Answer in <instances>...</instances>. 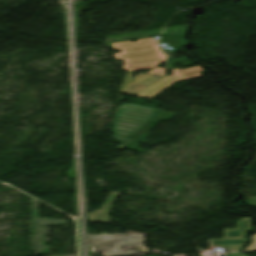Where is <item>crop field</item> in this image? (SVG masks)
<instances>
[{"label":"crop field","mask_w":256,"mask_h":256,"mask_svg":"<svg viewBox=\"0 0 256 256\" xmlns=\"http://www.w3.org/2000/svg\"><path fill=\"white\" fill-rule=\"evenodd\" d=\"M112 46L114 50L122 51L114 56L116 60H124L123 70L154 68L166 59V55L159 50L157 42L152 38L114 43Z\"/></svg>","instance_id":"obj_3"},{"label":"crop field","mask_w":256,"mask_h":256,"mask_svg":"<svg viewBox=\"0 0 256 256\" xmlns=\"http://www.w3.org/2000/svg\"><path fill=\"white\" fill-rule=\"evenodd\" d=\"M38 203L39 201L30 198L31 205V231H32V251L36 255H44L43 253V239L46 238V227L59 225L60 221L66 222L64 220L57 219H45L39 218L38 215Z\"/></svg>","instance_id":"obj_5"},{"label":"crop field","mask_w":256,"mask_h":256,"mask_svg":"<svg viewBox=\"0 0 256 256\" xmlns=\"http://www.w3.org/2000/svg\"><path fill=\"white\" fill-rule=\"evenodd\" d=\"M184 44L185 40L183 37H175V36H163L160 39V44Z\"/></svg>","instance_id":"obj_9"},{"label":"crop field","mask_w":256,"mask_h":256,"mask_svg":"<svg viewBox=\"0 0 256 256\" xmlns=\"http://www.w3.org/2000/svg\"><path fill=\"white\" fill-rule=\"evenodd\" d=\"M150 75H144V76H142V77H140V78H138V79H136L135 81H133V82H130V84H129V86H128V88L126 89V91H125V93L126 94H132V95H135V94H137L138 92H140V91H142L143 89H145L146 87H144V86H138V85H136V84H140V85H145V86H149V85H151L152 83H154L155 81H157V80H159V79H161V78H163V77H160V76H157V77H155L154 79H156V78H158V77H160L159 79H157V80H155L154 82H152V83H150V84H148L149 82H151V81H153L154 79H152L151 81H149L148 83H144V82H142V83H140L142 80H144V79H146L147 77H149ZM153 77V76H152ZM151 78V77H150ZM149 78V79H150ZM148 80V79H147ZM146 80V81H147Z\"/></svg>","instance_id":"obj_8"},{"label":"crop field","mask_w":256,"mask_h":256,"mask_svg":"<svg viewBox=\"0 0 256 256\" xmlns=\"http://www.w3.org/2000/svg\"><path fill=\"white\" fill-rule=\"evenodd\" d=\"M88 238L90 246L104 249L109 256L152 252L139 230H88Z\"/></svg>","instance_id":"obj_2"},{"label":"crop field","mask_w":256,"mask_h":256,"mask_svg":"<svg viewBox=\"0 0 256 256\" xmlns=\"http://www.w3.org/2000/svg\"><path fill=\"white\" fill-rule=\"evenodd\" d=\"M252 238L254 240V243L251 244V246L248 247L246 250H254V249H256V235H253Z\"/></svg>","instance_id":"obj_12"},{"label":"crop field","mask_w":256,"mask_h":256,"mask_svg":"<svg viewBox=\"0 0 256 256\" xmlns=\"http://www.w3.org/2000/svg\"><path fill=\"white\" fill-rule=\"evenodd\" d=\"M148 73L164 75L165 74V69L159 68V67H155L152 71H150Z\"/></svg>","instance_id":"obj_10"},{"label":"crop field","mask_w":256,"mask_h":256,"mask_svg":"<svg viewBox=\"0 0 256 256\" xmlns=\"http://www.w3.org/2000/svg\"><path fill=\"white\" fill-rule=\"evenodd\" d=\"M229 256H246L242 253H230Z\"/></svg>","instance_id":"obj_13"},{"label":"crop field","mask_w":256,"mask_h":256,"mask_svg":"<svg viewBox=\"0 0 256 256\" xmlns=\"http://www.w3.org/2000/svg\"><path fill=\"white\" fill-rule=\"evenodd\" d=\"M237 224L236 229H224L223 240H208L210 245H225L228 251L240 250L244 244L245 233L251 229L250 218H243Z\"/></svg>","instance_id":"obj_6"},{"label":"crop field","mask_w":256,"mask_h":256,"mask_svg":"<svg viewBox=\"0 0 256 256\" xmlns=\"http://www.w3.org/2000/svg\"><path fill=\"white\" fill-rule=\"evenodd\" d=\"M132 74H133V73H128V76H127V78H126V80H125V83H124V85H123V87H122L121 93H123V91H124V89H125V87H126V85H127V83H128L129 80L133 81L135 78H137L138 76L141 75V74H139V75H137V76L131 78ZM130 78H131V79H130Z\"/></svg>","instance_id":"obj_11"},{"label":"crop field","mask_w":256,"mask_h":256,"mask_svg":"<svg viewBox=\"0 0 256 256\" xmlns=\"http://www.w3.org/2000/svg\"><path fill=\"white\" fill-rule=\"evenodd\" d=\"M118 193L117 192H111L105 202V204L102 206V208L99 211L94 212L93 214L87 213L88 220L93 222H110V219L108 217V212L115 201Z\"/></svg>","instance_id":"obj_7"},{"label":"crop field","mask_w":256,"mask_h":256,"mask_svg":"<svg viewBox=\"0 0 256 256\" xmlns=\"http://www.w3.org/2000/svg\"><path fill=\"white\" fill-rule=\"evenodd\" d=\"M171 117L173 116L170 113L156 108L122 103L114 118L113 132L117 134L113 139L123 143L116 149L120 150L131 144L127 149L143 153L145 150L138 149L141 146L138 142L147 141L145 138L150 135L148 132L153 128L150 127L149 122L152 121L157 125L161 120Z\"/></svg>","instance_id":"obj_1"},{"label":"crop field","mask_w":256,"mask_h":256,"mask_svg":"<svg viewBox=\"0 0 256 256\" xmlns=\"http://www.w3.org/2000/svg\"><path fill=\"white\" fill-rule=\"evenodd\" d=\"M176 63H181L183 66L186 65H192L193 63L188 61L186 57L176 59L173 61L168 62L169 69L172 70L173 75L171 76H166L165 78L155 82L142 92L138 93L136 96L144 97V98H152L170 85L174 84L177 81H182V80H187V79H192V78H197L200 76V73L203 70L201 66L181 70V69H174L173 64Z\"/></svg>","instance_id":"obj_4"}]
</instances>
